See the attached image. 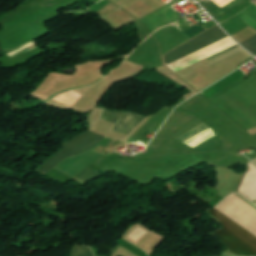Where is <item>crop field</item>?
<instances>
[{"label": "crop field", "mask_w": 256, "mask_h": 256, "mask_svg": "<svg viewBox=\"0 0 256 256\" xmlns=\"http://www.w3.org/2000/svg\"><path fill=\"white\" fill-rule=\"evenodd\" d=\"M208 212L224 228L210 234L217 236L221 243L235 255H256V237L253 234L215 209L208 210Z\"/></svg>", "instance_id": "8a807250"}, {"label": "crop field", "mask_w": 256, "mask_h": 256, "mask_svg": "<svg viewBox=\"0 0 256 256\" xmlns=\"http://www.w3.org/2000/svg\"><path fill=\"white\" fill-rule=\"evenodd\" d=\"M105 138L106 137L98 133L87 130L71 138L70 140L64 142L61 145V149L65 150L66 152H68L73 156H76V155H80L81 153L87 150H90ZM63 150L53 155L46 163H44L41 167H39L36 170L44 175L50 170H52L62 160L71 156Z\"/></svg>", "instance_id": "ac0d7876"}, {"label": "crop field", "mask_w": 256, "mask_h": 256, "mask_svg": "<svg viewBox=\"0 0 256 256\" xmlns=\"http://www.w3.org/2000/svg\"><path fill=\"white\" fill-rule=\"evenodd\" d=\"M226 35L218 26H215L209 30H206L204 32H202L201 34L195 36L194 38L190 39L189 41L185 42L184 44L180 45L179 47L173 49L172 51L168 52L167 54L163 55V59H164V63L167 65L195 50H197L198 48L222 37ZM238 46V45H236ZM234 46V47H236ZM232 47V48H234ZM232 48H229L223 52H220L216 55H213L209 58H207V60L221 54L224 53Z\"/></svg>", "instance_id": "34b2d1b8"}, {"label": "crop field", "mask_w": 256, "mask_h": 256, "mask_svg": "<svg viewBox=\"0 0 256 256\" xmlns=\"http://www.w3.org/2000/svg\"><path fill=\"white\" fill-rule=\"evenodd\" d=\"M126 112L115 111L110 109H102L100 118L116 124ZM145 117L127 112L126 115L115 125L114 131L128 134L138 123H140Z\"/></svg>", "instance_id": "412701ff"}, {"label": "crop field", "mask_w": 256, "mask_h": 256, "mask_svg": "<svg viewBox=\"0 0 256 256\" xmlns=\"http://www.w3.org/2000/svg\"><path fill=\"white\" fill-rule=\"evenodd\" d=\"M236 16L239 17L244 22H246L249 26L256 29V6L255 5L252 4L246 10H244L243 12H241Z\"/></svg>", "instance_id": "f4fd0767"}, {"label": "crop field", "mask_w": 256, "mask_h": 256, "mask_svg": "<svg viewBox=\"0 0 256 256\" xmlns=\"http://www.w3.org/2000/svg\"><path fill=\"white\" fill-rule=\"evenodd\" d=\"M102 174H98L95 171L89 169V168H85L81 173H79L74 179H76L77 181H79L80 183H85L87 181L96 179L101 177Z\"/></svg>", "instance_id": "dd49c442"}, {"label": "crop field", "mask_w": 256, "mask_h": 256, "mask_svg": "<svg viewBox=\"0 0 256 256\" xmlns=\"http://www.w3.org/2000/svg\"><path fill=\"white\" fill-rule=\"evenodd\" d=\"M70 256H94L91 249L82 245H75Z\"/></svg>", "instance_id": "e52e79f7"}, {"label": "crop field", "mask_w": 256, "mask_h": 256, "mask_svg": "<svg viewBox=\"0 0 256 256\" xmlns=\"http://www.w3.org/2000/svg\"><path fill=\"white\" fill-rule=\"evenodd\" d=\"M207 125H205L203 122L200 123L199 125H197L196 127H194L193 129H191L190 131H188L187 133H185L184 135H182L181 137H179L177 140L181 141V142H185L188 139H190L191 137H193L195 134H197L199 131H201L202 129H204Z\"/></svg>", "instance_id": "d8731c3e"}, {"label": "crop field", "mask_w": 256, "mask_h": 256, "mask_svg": "<svg viewBox=\"0 0 256 256\" xmlns=\"http://www.w3.org/2000/svg\"><path fill=\"white\" fill-rule=\"evenodd\" d=\"M243 1L244 0H233L230 3H228L227 5L223 6L220 9H218L216 12L221 16V15H223L224 13H226L230 9L234 8L235 6H237L238 4H240Z\"/></svg>", "instance_id": "5a996713"}, {"label": "crop field", "mask_w": 256, "mask_h": 256, "mask_svg": "<svg viewBox=\"0 0 256 256\" xmlns=\"http://www.w3.org/2000/svg\"><path fill=\"white\" fill-rule=\"evenodd\" d=\"M241 44L244 45L250 52H252L256 56V36L248 39Z\"/></svg>", "instance_id": "3316defc"}, {"label": "crop field", "mask_w": 256, "mask_h": 256, "mask_svg": "<svg viewBox=\"0 0 256 256\" xmlns=\"http://www.w3.org/2000/svg\"><path fill=\"white\" fill-rule=\"evenodd\" d=\"M206 29H204L203 27L201 26H198V25H194L192 26L191 28L183 31L186 35H188L190 38L199 34L200 32L204 31Z\"/></svg>", "instance_id": "28ad6ade"}, {"label": "crop field", "mask_w": 256, "mask_h": 256, "mask_svg": "<svg viewBox=\"0 0 256 256\" xmlns=\"http://www.w3.org/2000/svg\"><path fill=\"white\" fill-rule=\"evenodd\" d=\"M255 1H256V0H251L250 2H252V3H253V2H255Z\"/></svg>", "instance_id": "d1516ede"}]
</instances>
